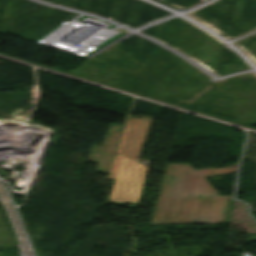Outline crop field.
Segmentation results:
<instances>
[{
    "label": "crop field",
    "instance_id": "crop-field-1",
    "mask_svg": "<svg viewBox=\"0 0 256 256\" xmlns=\"http://www.w3.org/2000/svg\"><path fill=\"white\" fill-rule=\"evenodd\" d=\"M237 166L195 170L190 164H167L150 224L223 222L227 201L205 177L235 172Z\"/></svg>",
    "mask_w": 256,
    "mask_h": 256
},
{
    "label": "crop field",
    "instance_id": "crop-field-2",
    "mask_svg": "<svg viewBox=\"0 0 256 256\" xmlns=\"http://www.w3.org/2000/svg\"><path fill=\"white\" fill-rule=\"evenodd\" d=\"M122 127L111 124L103 146L93 145L89 158L92 162L98 163L96 172H110Z\"/></svg>",
    "mask_w": 256,
    "mask_h": 256
},
{
    "label": "crop field",
    "instance_id": "crop-field-3",
    "mask_svg": "<svg viewBox=\"0 0 256 256\" xmlns=\"http://www.w3.org/2000/svg\"><path fill=\"white\" fill-rule=\"evenodd\" d=\"M232 204H233V201H231L229 204V208H228V212H227V216H226V222H228V220H229Z\"/></svg>",
    "mask_w": 256,
    "mask_h": 256
}]
</instances>
